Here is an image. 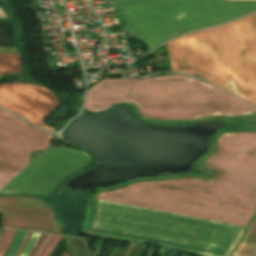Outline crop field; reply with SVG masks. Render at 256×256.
Here are the masks:
<instances>
[{
	"instance_id": "1",
	"label": "crop field",
	"mask_w": 256,
	"mask_h": 256,
	"mask_svg": "<svg viewBox=\"0 0 256 256\" xmlns=\"http://www.w3.org/2000/svg\"><path fill=\"white\" fill-rule=\"evenodd\" d=\"M78 246L81 248V250L84 252L85 255H84L83 252L78 248ZM66 252H67V254H68L69 256H89V255L86 253V251H85L83 245L80 243V241H79L77 238H73V240H72V242H71V244H70V246H69V248L67 249ZM66 252H64L63 256H68V255L66 254Z\"/></svg>"
},
{
	"instance_id": "2",
	"label": "crop field",
	"mask_w": 256,
	"mask_h": 256,
	"mask_svg": "<svg viewBox=\"0 0 256 256\" xmlns=\"http://www.w3.org/2000/svg\"><path fill=\"white\" fill-rule=\"evenodd\" d=\"M16 230L5 229L0 239V256H3L15 234Z\"/></svg>"
},
{
	"instance_id": "3",
	"label": "crop field",
	"mask_w": 256,
	"mask_h": 256,
	"mask_svg": "<svg viewBox=\"0 0 256 256\" xmlns=\"http://www.w3.org/2000/svg\"><path fill=\"white\" fill-rule=\"evenodd\" d=\"M39 236V233H34L32 239L30 240V242L28 243L25 251L23 252V254L21 256H28V254L30 253V251L32 250L37 238Z\"/></svg>"
},
{
	"instance_id": "4",
	"label": "crop field",
	"mask_w": 256,
	"mask_h": 256,
	"mask_svg": "<svg viewBox=\"0 0 256 256\" xmlns=\"http://www.w3.org/2000/svg\"><path fill=\"white\" fill-rule=\"evenodd\" d=\"M47 234H41L38 241L36 242L33 250L31 251V253L29 254V256H34L37 252V250L39 249V247L41 246L42 242L44 241V239L46 238Z\"/></svg>"
},
{
	"instance_id": "5",
	"label": "crop field",
	"mask_w": 256,
	"mask_h": 256,
	"mask_svg": "<svg viewBox=\"0 0 256 256\" xmlns=\"http://www.w3.org/2000/svg\"><path fill=\"white\" fill-rule=\"evenodd\" d=\"M61 236H57L54 238V240L52 241V243L50 244V246L48 247V249L46 250V252L44 253L43 256H48L50 254V252L53 250V248L55 247V245L58 243V241L60 240Z\"/></svg>"
},
{
	"instance_id": "6",
	"label": "crop field",
	"mask_w": 256,
	"mask_h": 256,
	"mask_svg": "<svg viewBox=\"0 0 256 256\" xmlns=\"http://www.w3.org/2000/svg\"><path fill=\"white\" fill-rule=\"evenodd\" d=\"M50 237H51V235L48 234L47 238L45 239V241L43 242L42 246L40 247L39 251L37 252V254L35 256H38L40 254V252L42 251V249L44 248V246L46 245V243Z\"/></svg>"
},
{
	"instance_id": "7",
	"label": "crop field",
	"mask_w": 256,
	"mask_h": 256,
	"mask_svg": "<svg viewBox=\"0 0 256 256\" xmlns=\"http://www.w3.org/2000/svg\"><path fill=\"white\" fill-rule=\"evenodd\" d=\"M54 237H55V235H52V237L50 238L47 245L45 246V248L43 249V251L41 252V254L39 256L43 255V253L45 252V250L47 249V247L49 246V244L51 243V241L53 240Z\"/></svg>"
},
{
	"instance_id": "8",
	"label": "crop field",
	"mask_w": 256,
	"mask_h": 256,
	"mask_svg": "<svg viewBox=\"0 0 256 256\" xmlns=\"http://www.w3.org/2000/svg\"><path fill=\"white\" fill-rule=\"evenodd\" d=\"M32 235H33V232H31L30 236L28 237V239H27V241H26L25 245L23 246V248H22V250L20 251V253H19V255H18V256H20V255L22 254V252L24 251V249H25V247H26V245H27L28 241H29V240H30V238L32 237Z\"/></svg>"
},
{
	"instance_id": "9",
	"label": "crop field",
	"mask_w": 256,
	"mask_h": 256,
	"mask_svg": "<svg viewBox=\"0 0 256 256\" xmlns=\"http://www.w3.org/2000/svg\"><path fill=\"white\" fill-rule=\"evenodd\" d=\"M3 230H4V229H0V236H1L2 232H3Z\"/></svg>"
}]
</instances>
